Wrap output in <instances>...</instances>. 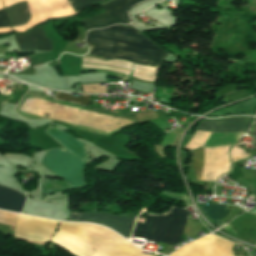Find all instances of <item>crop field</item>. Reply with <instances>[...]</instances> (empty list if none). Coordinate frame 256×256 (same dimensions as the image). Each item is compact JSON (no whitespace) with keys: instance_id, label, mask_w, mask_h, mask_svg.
I'll return each instance as SVG.
<instances>
[{"instance_id":"8a807250","label":"crop field","mask_w":256,"mask_h":256,"mask_svg":"<svg viewBox=\"0 0 256 256\" xmlns=\"http://www.w3.org/2000/svg\"><path fill=\"white\" fill-rule=\"evenodd\" d=\"M86 43H96L90 54L108 59H125L156 68L161 65L167 53L142 33L125 25L90 30Z\"/></svg>"},{"instance_id":"ac0d7876","label":"crop field","mask_w":256,"mask_h":256,"mask_svg":"<svg viewBox=\"0 0 256 256\" xmlns=\"http://www.w3.org/2000/svg\"><path fill=\"white\" fill-rule=\"evenodd\" d=\"M41 164L63 180H42L41 196L86 186L85 163L65 149L48 151Z\"/></svg>"},{"instance_id":"34b2d1b8","label":"crop field","mask_w":256,"mask_h":256,"mask_svg":"<svg viewBox=\"0 0 256 256\" xmlns=\"http://www.w3.org/2000/svg\"><path fill=\"white\" fill-rule=\"evenodd\" d=\"M186 214L187 211L174 205L162 214L147 213L144 223H136L133 236L175 245L181 239Z\"/></svg>"},{"instance_id":"412701ff","label":"crop field","mask_w":256,"mask_h":256,"mask_svg":"<svg viewBox=\"0 0 256 256\" xmlns=\"http://www.w3.org/2000/svg\"><path fill=\"white\" fill-rule=\"evenodd\" d=\"M193 164L197 178L203 180L204 148L194 151ZM228 171V146L205 148L204 180L216 182Z\"/></svg>"},{"instance_id":"f4fd0767","label":"crop field","mask_w":256,"mask_h":256,"mask_svg":"<svg viewBox=\"0 0 256 256\" xmlns=\"http://www.w3.org/2000/svg\"><path fill=\"white\" fill-rule=\"evenodd\" d=\"M253 121L254 117H230L215 120L204 119L196 131L247 132ZM208 134L209 132H194L186 148L191 150L196 149Z\"/></svg>"},{"instance_id":"dd49c442","label":"crop field","mask_w":256,"mask_h":256,"mask_svg":"<svg viewBox=\"0 0 256 256\" xmlns=\"http://www.w3.org/2000/svg\"><path fill=\"white\" fill-rule=\"evenodd\" d=\"M141 1L143 0H113L102 5L107 13L93 18L82 19L81 21L85 29L106 28L116 23L129 24L127 9Z\"/></svg>"},{"instance_id":"e52e79f7","label":"crop field","mask_w":256,"mask_h":256,"mask_svg":"<svg viewBox=\"0 0 256 256\" xmlns=\"http://www.w3.org/2000/svg\"><path fill=\"white\" fill-rule=\"evenodd\" d=\"M57 225L58 221L18 214L15 236L48 243Z\"/></svg>"},{"instance_id":"d8731c3e","label":"crop field","mask_w":256,"mask_h":256,"mask_svg":"<svg viewBox=\"0 0 256 256\" xmlns=\"http://www.w3.org/2000/svg\"><path fill=\"white\" fill-rule=\"evenodd\" d=\"M70 220H80V221H89L102 224L106 227H109L119 234H121L126 239H130L132 228L134 225L135 219L120 218L110 216L106 213L98 214H84V213H73L69 214Z\"/></svg>"},{"instance_id":"5a996713","label":"crop field","mask_w":256,"mask_h":256,"mask_svg":"<svg viewBox=\"0 0 256 256\" xmlns=\"http://www.w3.org/2000/svg\"><path fill=\"white\" fill-rule=\"evenodd\" d=\"M15 40L19 51H51V40L45 38L42 26L27 34H16Z\"/></svg>"},{"instance_id":"3316defc","label":"crop field","mask_w":256,"mask_h":256,"mask_svg":"<svg viewBox=\"0 0 256 256\" xmlns=\"http://www.w3.org/2000/svg\"><path fill=\"white\" fill-rule=\"evenodd\" d=\"M54 139H56L62 146H64L72 154L84 159L86 161V154L84 151V144L76 140L72 136L66 134L63 130L55 127H50L47 129Z\"/></svg>"},{"instance_id":"28ad6ade","label":"crop field","mask_w":256,"mask_h":256,"mask_svg":"<svg viewBox=\"0 0 256 256\" xmlns=\"http://www.w3.org/2000/svg\"><path fill=\"white\" fill-rule=\"evenodd\" d=\"M25 199L22 194L0 186V209L21 212Z\"/></svg>"},{"instance_id":"d1516ede","label":"crop field","mask_w":256,"mask_h":256,"mask_svg":"<svg viewBox=\"0 0 256 256\" xmlns=\"http://www.w3.org/2000/svg\"><path fill=\"white\" fill-rule=\"evenodd\" d=\"M11 18V26H20L28 22L30 13L26 1L14 4L6 8Z\"/></svg>"},{"instance_id":"22f410ed","label":"crop field","mask_w":256,"mask_h":256,"mask_svg":"<svg viewBox=\"0 0 256 256\" xmlns=\"http://www.w3.org/2000/svg\"><path fill=\"white\" fill-rule=\"evenodd\" d=\"M204 215L213 223L222 225L218 220L224 218L228 205H207L200 206Z\"/></svg>"},{"instance_id":"cbeb9de0","label":"crop field","mask_w":256,"mask_h":256,"mask_svg":"<svg viewBox=\"0 0 256 256\" xmlns=\"http://www.w3.org/2000/svg\"><path fill=\"white\" fill-rule=\"evenodd\" d=\"M74 11L78 13L82 9L88 7L91 4L103 1V0H68Z\"/></svg>"},{"instance_id":"5142ce71","label":"crop field","mask_w":256,"mask_h":256,"mask_svg":"<svg viewBox=\"0 0 256 256\" xmlns=\"http://www.w3.org/2000/svg\"><path fill=\"white\" fill-rule=\"evenodd\" d=\"M57 93H60V92H57ZM63 94H66V93H63ZM63 94H57L56 99H65V100H69V101H73V102L87 104L88 98H89V97H74V96L63 95ZM84 96H90V95H84ZM89 102H90V98H89ZM89 102H88V105H89Z\"/></svg>"},{"instance_id":"d9b57169","label":"crop field","mask_w":256,"mask_h":256,"mask_svg":"<svg viewBox=\"0 0 256 256\" xmlns=\"http://www.w3.org/2000/svg\"><path fill=\"white\" fill-rule=\"evenodd\" d=\"M245 150L239 149L234 147L233 150L231 151V157L233 159V161H239V160H243L244 156H245Z\"/></svg>"},{"instance_id":"733c2abd","label":"crop field","mask_w":256,"mask_h":256,"mask_svg":"<svg viewBox=\"0 0 256 256\" xmlns=\"http://www.w3.org/2000/svg\"><path fill=\"white\" fill-rule=\"evenodd\" d=\"M10 20L5 9L0 10V27H9Z\"/></svg>"},{"instance_id":"4a817a6b","label":"crop field","mask_w":256,"mask_h":256,"mask_svg":"<svg viewBox=\"0 0 256 256\" xmlns=\"http://www.w3.org/2000/svg\"><path fill=\"white\" fill-rule=\"evenodd\" d=\"M251 135H255L256 136V126L252 129V131H251V133H250Z\"/></svg>"}]
</instances>
